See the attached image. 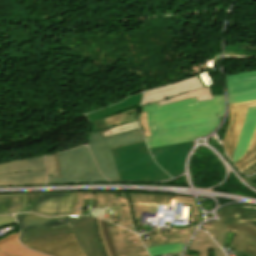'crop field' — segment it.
<instances>
[{
  "instance_id": "1d83c4d3",
  "label": "crop field",
  "mask_w": 256,
  "mask_h": 256,
  "mask_svg": "<svg viewBox=\"0 0 256 256\" xmlns=\"http://www.w3.org/2000/svg\"><path fill=\"white\" fill-rule=\"evenodd\" d=\"M100 217L112 221V213H109V209L100 208Z\"/></svg>"
},
{
  "instance_id": "cbeb9de0",
  "label": "crop field",
  "mask_w": 256,
  "mask_h": 256,
  "mask_svg": "<svg viewBox=\"0 0 256 256\" xmlns=\"http://www.w3.org/2000/svg\"><path fill=\"white\" fill-rule=\"evenodd\" d=\"M128 195L131 203H141V204L170 205V199H176V203H183V205L191 206L189 223L199 224L202 220L201 213L194 201V198L173 197V196L152 195V194H128Z\"/></svg>"
},
{
  "instance_id": "f4fd0767",
  "label": "crop field",
  "mask_w": 256,
  "mask_h": 256,
  "mask_svg": "<svg viewBox=\"0 0 256 256\" xmlns=\"http://www.w3.org/2000/svg\"><path fill=\"white\" fill-rule=\"evenodd\" d=\"M61 178L48 176V183H89L108 182L99 173L88 147L59 153Z\"/></svg>"
},
{
  "instance_id": "120bbe31",
  "label": "crop field",
  "mask_w": 256,
  "mask_h": 256,
  "mask_svg": "<svg viewBox=\"0 0 256 256\" xmlns=\"http://www.w3.org/2000/svg\"><path fill=\"white\" fill-rule=\"evenodd\" d=\"M245 175H252L253 173L256 172V164L253 166L249 167L248 169L242 171Z\"/></svg>"
},
{
  "instance_id": "4177f3b9",
  "label": "crop field",
  "mask_w": 256,
  "mask_h": 256,
  "mask_svg": "<svg viewBox=\"0 0 256 256\" xmlns=\"http://www.w3.org/2000/svg\"><path fill=\"white\" fill-rule=\"evenodd\" d=\"M132 213L138 227H146V233L154 228H149V225L140 224L141 212L156 213V205H131Z\"/></svg>"
},
{
  "instance_id": "ac0d7876",
  "label": "crop field",
  "mask_w": 256,
  "mask_h": 256,
  "mask_svg": "<svg viewBox=\"0 0 256 256\" xmlns=\"http://www.w3.org/2000/svg\"><path fill=\"white\" fill-rule=\"evenodd\" d=\"M70 225L22 231L20 242L73 233L75 240L86 256H105L97 234L95 218L86 216H69Z\"/></svg>"
},
{
  "instance_id": "d1516ede",
  "label": "crop field",
  "mask_w": 256,
  "mask_h": 256,
  "mask_svg": "<svg viewBox=\"0 0 256 256\" xmlns=\"http://www.w3.org/2000/svg\"><path fill=\"white\" fill-rule=\"evenodd\" d=\"M79 193H40L36 213L46 216L73 214Z\"/></svg>"
},
{
  "instance_id": "28ad6ade",
  "label": "crop field",
  "mask_w": 256,
  "mask_h": 256,
  "mask_svg": "<svg viewBox=\"0 0 256 256\" xmlns=\"http://www.w3.org/2000/svg\"><path fill=\"white\" fill-rule=\"evenodd\" d=\"M24 246L50 256H84L72 234L41 239Z\"/></svg>"
},
{
  "instance_id": "733c2abd",
  "label": "crop field",
  "mask_w": 256,
  "mask_h": 256,
  "mask_svg": "<svg viewBox=\"0 0 256 256\" xmlns=\"http://www.w3.org/2000/svg\"><path fill=\"white\" fill-rule=\"evenodd\" d=\"M15 218L22 230L69 224L67 216L60 218H47L35 214H19L15 215Z\"/></svg>"
},
{
  "instance_id": "a9b5d70f",
  "label": "crop field",
  "mask_w": 256,
  "mask_h": 256,
  "mask_svg": "<svg viewBox=\"0 0 256 256\" xmlns=\"http://www.w3.org/2000/svg\"><path fill=\"white\" fill-rule=\"evenodd\" d=\"M240 207L233 206L225 208L219 212L220 219L219 222L228 225L227 229L235 230L237 225V219L239 215Z\"/></svg>"
},
{
  "instance_id": "3316defc",
  "label": "crop field",
  "mask_w": 256,
  "mask_h": 256,
  "mask_svg": "<svg viewBox=\"0 0 256 256\" xmlns=\"http://www.w3.org/2000/svg\"><path fill=\"white\" fill-rule=\"evenodd\" d=\"M229 104L256 100V71L225 75Z\"/></svg>"
},
{
  "instance_id": "92a150f3",
  "label": "crop field",
  "mask_w": 256,
  "mask_h": 256,
  "mask_svg": "<svg viewBox=\"0 0 256 256\" xmlns=\"http://www.w3.org/2000/svg\"><path fill=\"white\" fill-rule=\"evenodd\" d=\"M26 212V194L0 195V215Z\"/></svg>"
},
{
  "instance_id": "5142ce71",
  "label": "crop field",
  "mask_w": 256,
  "mask_h": 256,
  "mask_svg": "<svg viewBox=\"0 0 256 256\" xmlns=\"http://www.w3.org/2000/svg\"><path fill=\"white\" fill-rule=\"evenodd\" d=\"M125 229V228H124ZM118 226H112L109 230L111 236L114 237L113 242L117 251L118 256H123L131 253L144 251L145 248L142 245L141 240L138 236L124 230Z\"/></svg>"
},
{
  "instance_id": "5866460e",
  "label": "crop field",
  "mask_w": 256,
  "mask_h": 256,
  "mask_svg": "<svg viewBox=\"0 0 256 256\" xmlns=\"http://www.w3.org/2000/svg\"><path fill=\"white\" fill-rule=\"evenodd\" d=\"M124 227H126V228H128V229L133 230V231H135V232H136V230H135L134 226H124ZM136 233H137V232H136Z\"/></svg>"
},
{
  "instance_id": "750c4746",
  "label": "crop field",
  "mask_w": 256,
  "mask_h": 256,
  "mask_svg": "<svg viewBox=\"0 0 256 256\" xmlns=\"http://www.w3.org/2000/svg\"><path fill=\"white\" fill-rule=\"evenodd\" d=\"M96 221H97L98 233H99V236L101 238V241H102V244H103V247H104V251H105L107 256H111L110 251H109L108 246H107V243H106V240H105V237H104L103 232H102L100 219H96Z\"/></svg>"
},
{
  "instance_id": "eef30255",
  "label": "crop field",
  "mask_w": 256,
  "mask_h": 256,
  "mask_svg": "<svg viewBox=\"0 0 256 256\" xmlns=\"http://www.w3.org/2000/svg\"><path fill=\"white\" fill-rule=\"evenodd\" d=\"M45 158L47 162L48 175L60 177L57 155H48L45 156Z\"/></svg>"
},
{
  "instance_id": "22f410ed",
  "label": "crop field",
  "mask_w": 256,
  "mask_h": 256,
  "mask_svg": "<svg viewBox=\"0 0 256 256\" xmlns=\"http://www.w3.org/2000/svg\"><path fill=\"white\" fill-rule=\"evenodd\" d=\"M84 199L99 200L98 207L105 208H121V217L123 225H134L129 211L127 196H119L117 194H98V193H80L74 214H80ZM91 208V203H89ZM90 215V209H88Z\"/></svg>"
},
{
  "instance_id": "dafd665d",
  "label": "crop field",
  "mask_w": 256,
  "mask_h": 256,
  "mask_svg": "<svg viewBox=\"0 0 256 256\" xmlns=\"http://www.w3.org/2000/svg\"><path fill=\"white\" fill-rule=\"evenodd\" d=\"M141 99H142V93L132 96L130 98H127L125 101L118 103L112 107L105 108V109L99 110L95 113L89 114V115H87V117L92 122L96 119L104 118V117H107L114 113L137 106L140 104Z\"/></svg>"
},
{
  "instance_id": "d9b57169",
  "label": "crop field",
  "mask_w": 256,
  "mask_h": 256,
  "mask_svg": "<svg viewBox=\"0 0 256 256\" xmlns=\"http://www.w3.org/2000/svg\"><path fill=\"white\" fill-rule=\"evenodd\" d=\"M256 128V107L248 108L238 145L235 149L233 163L242 157L250 143Z\"/></svg>"
},
{
  "instance_id": "4a817a6b",
  "label": "crop field",
  "mask_w": 256,
  "mask_h": 256,
  "mask_svg": "<svg viewBox=\"0 0 256 256\" xmlns=\"http://www.w3.org/2000/svg\"><path fill=\"white\" fill-rule=\"evenodd\" d=\"M195 226H190L188 228H176L171 229L170 233H159L157 234V229L150 233L153 240L145 241L144 244L157 243L156 245L171 244V243H187L191 236L189 233ZM164 238V240H163Z\"/></svg>"
},
{
  "instance_id": "8a807250",
  "label": "crop field",
  "mask_w": 256,
  "mask_h": 256,
  "mask_svg": "<svg viewBox=\"0 0 256 256\" xmlns=\"http://www.w3.org/2000/svg\"><path fill=\"white\" fill-rule=\"evenodd\" d=\"M214 100L196 102V97L159 107L146 105L143 112H154L157 134L146 137L149 148L194 140L214 130L223 117L224 95H213ZM222 115V117H219Z\"/></svg>"
},
{
  "instance_id": "34b2d1b8",
  "label": "crop field",
  "mask_w": 256,
  "mask_h": 256,
  "mask_svg": "<svg viewBox=\"0 0 256 256\" xmlns=\"http://www.w3.org/2000/svg\"><path fill=\"white\" fill-rule=\"evenodd\" d=\"M111 151L120 181H162L171 178L155 164L145 143Z\"/></svg>"
},
{
  "instance_id": "ae1a2a85",
  "label": "crop field",
  "mask_w": 256,
  "mask_h": 256,
  "mask_svg": "<svg viewBox=\"0 0 256 256\" xmlns=\"http://www.w3.org/2000/svg\"><path fill=\"white\" fill-rule=\"evenodd\" d=\"M226 227H227L226 225H223V224L219 223L218 221L209 222L208 224L203 226V228H206L210 232L211 236L214 239H216L218 229L225 230Z\"/></svg>"
},
{
  "instance_id": "214f88e0",
  "label": "crop field",
  "mask_w": 256,
  "mask_h": 256,
  "mask_svg": "<svg viewBox=\"0 0 256 256\" xmlns=\"http://www.w3.org/2000/svg\"><path fill=\"white\" fill-rule=\"evenodd\" d=\"M18 234L19 232L0 240V256H45L22 247L17 240Z\"/></svg>"
},
{
  "instance_id": "d32e631a",
  "label": "crop field",
  "mask_w": 256,
  "mask_h": 256,
  "mask_svg": "<svg viewBox=\"0 0 256 256\" xmlns=\"http://www.w3.org/2000/svg\"><path fill=\"white\" fill-rule=\"evenodd\" d=\"M127 256H149V255L147 254V251H144V252L131 254V255H127Z\"/></svg>"
},
{
  "instance_id": "dd49c442",
  "label": "crop field",
  "mask_w": 256,
  "mask_h": 256,
  "mask_svg": "<svg viewBox=\"0 0 256 256\" xmlns=\"http://www.w3.org/2000/svg\"><path fill=\"white\" fill-rule=\"evenodd\" d=\"M197 96V101L211 100L212 90L206 87L199 75L145 91L142 105L158 102L165 105Z\"/></svg>"
},
{
  "instance_id": "5a996713",
  "label": "crop field",
  "mask_w": 256,
  "mask_h": 256,
  "mask_svg": "<svg viewBox=\"0 0 256 256\" xmlns=\"http://www.w3.org/2000/svg\"><path fill=\"white\" fill-rule=\"evenodd\" d=\"M192 142L177 143L171 145L151 148V154L155 155L154 160L171 177L179 176L184 172V160L189 153Z\"/></svg>"
},
{
  "instance_id": "d3111659",
  "label": "crop field",
  "mask_w": 256,
  "mask_h": 256,
  "mask_svg": "<svg viewBox=\"0 0 256 256\" xmlns=\"http://www.w3.org/2000/svg\"><path fill=\"white\" fill-rule=\"evenodd\" d=\"M101 222H102L103 232L105 234V237H106L109 249L111 251V254H112V256H117L114 245H113V242H112V239H111V236H110V233H109V230H108L107 225H106V222L103 221V220H101Z\"/></svg>"
},
{
  "instance_id": "e52e79f7",
  "label": "crop field",
  "mask_w": 256,
  "mask_h": 256,
  "mask_svg": "<svg viewBox=\"0 0 256 256\" xmlns=\"http://www.w3.org/2000/svg\"><path fill=\"white\" fill-rule=\"evenodd\" d=\"M46 182L43 157L0 164V185L39 184Z\"/></svg>"
},
{
  "instance_id": "412701ff",
  "label": "crop field",
  "mask_w": 256,
  "mask_h": 256,
  "mask_svg": "<svg viewBox=\"0 0 256 256\" xmlns=\"http://www.w3.org/2000/svg\"><path fill=\"white\" fill-rule=\"evenodd\" d=\"M145 142L140 129L104 137L101 132L91 133L88 137L93 157L104 175L112 181H119L110 149Z\"/></svg>"
},
{
  "instance_id": "bd1437ed",
  "label": "crop field",
  "mask_w": 256,
  "mask_h": 256,
  "mask_svg": "<svg viewBox=\"0 0 256 256\" xmlns=\"http://www.w3.org/2000/svg\"><path fill=\"white\" fill-rule=\"evenodd\" d=\"M7 216H10V218H7ZM15 221L16 220L12 215L0 216V226L8 225L14 223Z\"/></svg>"
},
{
  "instance_id": "028f5c9d",
  "label": "crop field",
  "mask_w": 256,
  "mask_h": 256,
  "mask_svg": "<svg viewBox=\"0 0 256 256\" xmlns=\"http://www.w3.org/2000/svg\"><path fill=\"white\" fill-rule=\"evenodd\" d=\"M250 179H256V174H254Z\"/></svg>"
},
{
  "instance_id": "730fd06b",
  "label": "crop field",
  "mask_w": 256,
  "mask_h": 256,
  "mask_svg": "<svg viewBox=\"0 0 256 256\" xmlns=\"http://www.w3.org/2000/svg\"><path fill=\"white\" fill-rule=\"evenodd\" d=\"M183 246L184 244H171L148 248L147 250L151 256H159L167 253H180Z\"/></svg>"
},
{
  "instance_id": "00972430",
  "label": "crop field",
  "mask_w": 256,
  "mask_h": 256,
  "mask_svg": "<svg viewBox=\"0 0 256 256\" xmlns=\"http://www.w3.org/2000/svg\"><path fill=\"white\" fill-rule=\"evenodd\" d=\"M232 232H236V233L228 247L243 254L244 256H256V243L253 242L243 232H239V231H232Z\"/></svg>"
},
{
  "instance_id": "d8731c3e",
  "label": "crop field",
  "mask_w": 256,
  "mask_h": 256,
  "mask_svg": "<svg viewBox=\"0 0 256 256\" xmlns=\"http://www.w3.org/2000/svg\"><path fill=\"white\" fill-rule=\"evenodd\" d=\"M251 106H256V101L229 105L230 124L223 145L230 158H232L235 146L238 142L246 109ZM254 163H256V131L246 154L234 164L242 171Z\"/></svg>"
},
{
  "instance_id": "bc2a9ffb",
  "label": "crop field",
  "mask_w": 256,
  "mask_h": 256,
  "mask_svg": "<svg viewBox=\"0 0 256 256\" xmlns=\"http://www.w3.org/2000/svg\"><path fill=\"white\" fill-rule=\"evenodd\" d=\"M208 248L214 249L215 256H225L207 233L199 231L184 256H208Z\"/></svg>"
}]
</instances>
